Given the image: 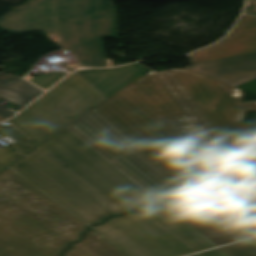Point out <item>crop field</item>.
I'll return each instance as SVG.
<instances>
[{
	"instance_id": "d8731c3e",
	"label": "crop field",
	"mask_w": 256,
	"mask_h": 256,
	"mask_svg": "<svg viewBox=\"0 0 256 256\" xmlns=\"http://www.w3.org/2000/svg\"><path fill=\"white\" fill-rule=\"evenodd\" d=\"M213 188L197 190L170 208L190 224L228 213L249 237L256 235V216L246 206Z\"/></svg>"
},
{
	"instance_id": "3316defc",
	"label": "crop field",
	"mask_w": 256,
	"mask_h": 256,
	"mask_svg": "<svg viewBox=\"0 0 256 256\" xmlns=\"http://www.w3.org/2000/svg\"><path fill=\"white\" fill-rule=\"evenodd\" d=\"M187 68L236 86L256 78V53L200 63Z\"/></svg>"
},
{
	"instance_id": "4177f3b9",
	"label": "crop field",
	"mask_w": 256,
	"mask_h": 256,
	"mask_svg": "<svg viewBox=\"0 0 256 256\" xmlns=\"http://www.w3.org/2000/svg\"><path fill=\"white\" fill-rule=\"evenodd\" d=\"M243 243H246V244H249V245H252V246H255V247H256V238H255V239H251V240L244 241Z\"/></svg>"
},
{
	"instance_id": "5a996713",
	"label": "crop field",
	"mask_w": 256,
	"mask_h": 256,
	"mask_svg": "<svg viewBox=\"0 0 256 256\" xmlns=\"http://www.w3.org/2000/svg\"><path fill=\"white\" fill-rule=\"evenodd\" d=\"M219 43L190 55L192 64L256 52V17L243 15L237 26Z\"/></svg>"
},
{
	"instance_id": "e52e79f7",
	"label": "crop field",
	"mask_w": 256,
	"mask_h": 256,
	"mask_svg": "<svg viewBox=\"0 0 256 256\" xmlns=\"http://www.w3.org/2000/svg\"><path fill=\"white\" fill-rule=\"evenodd\" d=\"M97 111L67 128L165 205L180 200L186 187Z\"/></svg>"
},
{
	"instance_id": "a9b5d70f",
	"label": "crop field",
	"mask_w": 256,
	"mask_h": 256,
	"mask_svg": "<svg viewBox=\"0 0 256 256\" xmlns=\"http://www.w3.org/2000/svg\"><path fill=\"white\" fill-rule=\"evenodd\" d=\"M1 98H3V99H5V100H7V101H9V102H11V103H13L12 101H10V100H8V99H6V98H4V97H2V96H0V99ZM13 104H15V103H13ZM15 105H17V104H15ZM18 107L17 108H15L16 110H21L23 107H21V106H19V105H17ZM1 107V106H0ZM3 108V107H2ZM5 109V108H4ZM6 110H8V109H6ZM8 111H10V110H8ZM10 112H12V113H14V114H16L15 112H13V111H10Z\"/></svg>"
},
{
	"instance_id": "412701ff",
	"label": "crop field",
	"mask_w": 256,
	"mask_h": 256,
	"mask_svg": "<svg viewBox=\"0 0 256 256\" xmlns=\"http://www.w3.org/2000/svg\"><path fill=\"white\" fill-rule=\"evenodd\" d=\"M86 227L11 169L0 174V256H60Z\"/></svg>"
},
{
	"instance_id": "f4fd0767",
	"label": "crop field",
	"mask_w": 256,
	"mask_h": 256,
	"mask_svg": "<svg viewBox=\"0 0 256 256\" xmlns=\"http://www.w3.org/2000/svg\"><path fill=\"white\" fill-rule=\"evenodd\" d=\"M0 29L12 32L41 31L60 49L67 48L78 66L110 67L103 38L117 35L114 6L110 0H52L0 20Z\"/></svg>"
},
{
	"instance_id": "5142ce71",
	"label": "crop field",
	"mask_w": 256,
	"mask_h": 256,
	"mask_svg": "<svg viewBox=\"0 0 256 256\" xmlns=\"http://www.w3.org/2000/svg\"><path fill=\"white\" fill-rule=\"evenodd\" d=\"M243 181H256V131L236 175L235 183Z\"/></svg>"
},
{
	"instance_id": "730fd06b",
	"label": "crop field",
	"mask_w": 256,
	"mask_h": 256,
	"mask_svg": "<svg viewBox=\"0 0 256 256\" xmlns=\"http://www.w3.org/2000/svg\"><path fill=\"white\" fill-rule=\"evenodd\" d=\"M3 120H6V119H4V118L0 117V121H3Z\"/></svg>"
},
{
	"instance_id": "92a150f3",
	"label": "crop field",
	"mask_w": 256,
	"mask_h": 256,
	"mask_svg": "<svg viewBox=\"0 0 256 256\" xmlns=\"http://www.w3.org/2000/svg\"><path fill=\"white\" fill-rule=\"evenodd\" d=\"M193 256H226V255L219 249H216V250L203 252V253L193 255Z\"/></svg>"
},
{
	"instance_id": "4a817a6b",
	"label": "crop field",
	"mask_w": 256,
	"mask_h": 256,
	"mask_svg": "<svg viewBox=\"0 0 256 256\" xmlns=\"http://www.w3.org/2000/svg\"><path fill=\"white\" fill-rule=\"evenodd\" d=\"M220 250L228 256H256V248L243 243L220 248Z\"/></svg>"
},
{
	"instance_id": "8a807250",
	"label": "crop field",
	"mask_w": 256,
	"mask_h": 256,
	"mask_svg": "<svg viewBox=\"0 0 256 256\" xmlns=\"http://www.w3.org/2000/svg\"><path fill=\"white\" fill-rule=\"evenodd\" d=\"M107 99L77 72L20 115L0 124L18 141L0 148V172L11 168L90 226L105 217L164 206L66 128Z\"/></svg>"
},
{
	"instance_id": "00972430",
	"label": "crop field",
	"mask_w": 256,
	"mask_h": 256,
	"mask_svg": "<svg viewBox=\"0 0 256 256\" xmlns=\"http://www.w3.org/2000/svg\"><path fill=\"white\" fill-rule=\"evenodd\" d=\"M13 115H14V114L9 113V112H7V111H5V110H3V109L0 108V116H2V117H4V118L8 119V118L12 117Z\"/></svg>"
},
{
	"instance_id": "dafd665d",
	"label": "crop field",
	"mask_w": 256,
	"mask_h": 256,
	"mask_svg": "<svg viewBox=\"0 0 256 256\" xmlns=\"http://www.w3.org/2000/svg\"><path fill=\"white\" fill-rule=\"evenodd\" d=\"M244 13L256 15V0H249L248 9Z\"/></svg>"
},
{
	"instance_id": "cbeb9de0",
	"label": "crop field",
	"mask_w": 256,
	"mask_h": 256,
	"mask_svg": "<svg viewBox=\"0 0 256 256\" xmlns=\"http://www.w3.org/2000/svg\"><path fill=\"white\" fill-rule=\"evenodd\" d=\"M43 92L23 79L0 86V95L24 107Z\"/></svg>"
},
{
	"instance_id": "dd49c442",
	"label": "crop field",
	"mask_w": 256,
	"mask_h": 256,
	"mask_svg": "<svg viewBox=\"0 0 256 256\" xmlns=\"http://www.w3.org/2000/svg\"><path fill=\"white\" fill-rule=\"evenodd\" d=\"M92 229L129 256H182L215 248L167 207L127 213Z\"/></svg>"
},
{
	"instance_id": "d1516ede",
	"label": "crop field",
	"mask_w": 256,
	"mask_h": 256,
	"mask_svg": "<svg viewBox=\"0 0 256 256\" xmlns=\"http://www.w3.org/2000/svg\"><path fill=\"white\" fill-rule=\"evenodd\" d=\"M192 226L218 246L248 237L228 214L195 223Z\"/></svg>"
},
{
	"instance_id": "34b2d1b8",
	"label": "crop field",
	"mask_w": 256,
	"mask_h": 256,
	"mask_svg": "<svg viewBox=\"0 0 256 256\" xmlns=\"http://www.w3.org/2000/svg\"><path fill=\"white\" fill-rule=\"evenodd\" d=\"M186 187L210 183L161 116L185 114L155 73L95 108Z\"/></svg>"
},
{
	"instance_id": "d9b57169",
	"label": "crop field",
	"mask_w": 256,
	"mask_h": 256,
	"mask_svg": "<svg viewBox=\"0 0 256 256\" xmlns=\"http://www.w3.org/2000/svg\"><path fill=\"white\" fill-rule=\"evenodd\" d=\"M221 190L249 205L256 212V184L247 183L233 187H219Z\"/></svg>"
},
{
	"instance_id": "733c2abd",
	"label": "crop field",
	"mask_w": 256,
	"mask_h": 256,
	"mask_svg": "<svg viewBox=\"0 0 256 256\" xmlns=\"http://www.w3.org/2000/svg\"><path fill=\"white\" fill-rule=\"evenodd\" d=\"M67 74L68 73H65V72H47L44 75L39 77L33 78L28 75L26 78L27 80L31 81L35 85L39 86L40 88L47 90Z\"/></svg>"
},
{
	"instance_id": "ac0d7876",
	"label": "crop field",
	"mask_w": 256,
	"mask_h": 256,
	"mask_svg": "<svg viewBox=\"0 0 256 256\" xmlns=\"http://www.w3.org/2000/svg\"><path fill=\"white\" fill-rule=\"evenodd\" d=\"M186 115L163 117L212 184L234 182L253 131L244 91L188 69L155 72ZM155 74V75H156Z\"/></svg>"
},
{
	"instance_id": "bc2a9ffb",
	"label": "crop field",
	"mask_w": 256,
	"mask_h": 256,
	"mask_svg": "<svg viewBox=\"0 0 256 256\" xmlns=\"http://www.w3.org/2000/svg\"><path fill=\"white\" fill-rule=\"evenodd\" d=\"M44 1H47V0H28V1L25 2L23 5H21L20 7H18V8L15 9V10H13V11L7 13V14L4 15L3 17H1L0 19H3V18H5V17H7V16H9V15H12V14H14V13H16V12H19V11L25 9V8H28V7L32 6V5L37 4V3H42V2H44Z\"/></svg>"
},
{
	"instance_id": "214f88e0",
	"label": "crop field",
	"mask_w": 256,
	"mask_h": 256,
	"mask_svg": "<svg viewBox=\"0 0 256 256\" xmlns=\"http://www.w3.org/2000/svg\"><path fill=\"white\" fill-rule=\"evenodd\" d=\"M4 66H0V70H3ZM20 79L19 77H15V76H9V75H3L0 74V85L12 82L14 80Z\"/></svg>"
},
{
	"instance_id": "28ad6ade",
	"label": "crop field",
	"mask_w": 256,
	"mask_h": 256,
	"mask_svg": "<svg viewBox=\"0 0 256 256\" xmlns=\"http://www.w3.org/2000/svg\"><path fill=\"white\" fill-rule=\"evenodd\" d=\"M151 68L137 62L120 68L77 71L107 98Z\"/></svg>"
},
{
	"instance_id": "22f410ed",
	"label": "crop field",
	"mask_w": 256,
	"mask_h": 256,
	"mask_svg": "<svg viewBox=\"0 0 256 256\" xmlns=\"http://www.w3.org/2000/svg\"><path fill=\"white\" fill-rule=\"evenodd\" d=\"M85 240L71 245L64 256H127L92 229L84 234Z\"/></svg>"
}]
</instances>
